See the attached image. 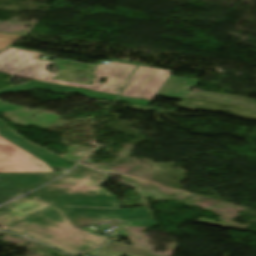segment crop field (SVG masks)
Segmentation results:
<instances>
[{"mask_svg":"<svg viewBox=\"0 0 256 256\" xmlns=\"http://www.w3.org/2000/svg\"><path fill=\"white\" fill-rule=\"evenodd\" d=\"M109 177L78 165L72 173L33 192L38 198L20 197L0 207V223L8 230L39 240L72 256L102 247L107 241L76 227L109 220L128 226H156L148 207L123 210L117 198L98 187Z\"/></svg>","mask_w":256,"mask_h":256,"instance_id":"obj_1","label":"crop field"},{"mask_svg":"<svg viewBox=\"0 0 256 256\" xmlns=\"http://www.w3.org/2000/svg\"><path fill=\"white\" fill-rule=\"evenodd\" d=\"M170 72L138 66L122 96L153 100L158 95L183 100L198 81L169 76Z\"/></svg>","mask_w":256,"mask_h":256,"instance_id":"obj_2","label":"crop field"},{"mask_svg":"<svg viewBox=\"0 0 256 256\" xmlns=\"http://www.w3.org/2000/svg\"><path fill=\"white\" fill-rule=\"evenodd\" d=\"M41 88L48 89V90L55 91V92H61V93L77 92V93L85 95L89 98H97V99H101V100H115L116 99L115 96L98 94V93H94V92H90V91H86V90L49 85V84H44V83H40V82H36V81L29 82L28 84H26L24 86L1 91L0 94L5 93V92H20V91H26V90H31V89H41ZM70 89H74L75 91H69ZM17 109H19V107H16V106H13L10 104L0 105V112H10V111H15ZM0 135L3 136L4 138L8 139L9 141L13 142L14 144L18 145L19 147L23 148L24 150L28 151L29 153L33 154L38 159H40L50 165H57V166H62L67 169H71V167L75 164L73 162L62 159V158L42 149L40 147H37V146L27 142L26 140L22 139L20 136L15 134L11 129L6 127L5 123L3 121H0Z\"/></svg>","mask_w":256,"mask_h":256,"instance_id":"obj_3","label":"crop field"},{"mask_svg":"<svg viewBox=\"0 0 256 256\" xmlns=\"http://www.w3.org/2000/svg\"><path fill=\"white\" fill-rule=\"evenodd\" d=\"M42 55L32 51L9 48L0 54V72L53 84L75 86L74 83L51 79L56 75L48 73L46 68L54 62L37 59Z\"/></svg>","mask_w":256,"mask_h":256,"instance_id":"obj_4","label":"crop field"},{"mask_svg":"<svg viewBox=\"0 0 256 256\" xmlns=\"http://www.w3.org/2000/svg\"><path fill=\"white\" fill-rule=\"evenodd\" d=\"M52 172L48 165L0 136V173Z\"/></svg>","mask_w":256,"mask_h":256,"instance_id":"obj_5","label":"crop field"},{"mask_svg":"<svg viewBox=\"0 0 256 256\" xmlns=\"http://www.w3.org/2000/svg\"><path fill=\"white\" fill-rule=\"evenodd\" d=\"M60 175L55 173L0 174V204Z\"/></svg>","mask_w":256,"mask_h":256,"instance_id":"obj_6","label":"crop field"},{"mask_svg":"<svg viewBox=\"0 0 256 256\" xmlns=\"http://www.w3.org/2000/svg\"><path fill=\"white\" fill-rule=\"evenodd\" d=\"M135 67L136 66L134 65L116 62H112L109 65L99 64L94 69L96 78L89 89L98 92L119 95L121 91L118 89L124 87ZM100 70H102V72H100ZM100 77H109V79L106 84H100L98 83ZM106 88L109 90H105ZM114 90H118L119 92H114Z\"/></svg>","mask_w":256,"mask_h":256,"instance_id":"obj_7","label":"crop field"},{"mask_svg":"<svg viewBox=\"0 0 256 256\" xmlns=\"http://www.w3.org/2000/svg\"><path fill=\"white\" fill-rule=\"evenodd\" d=\"M103 248L121 252V253L130 254V255H136V256H155V255L149 254V252H150L149 250L136 248V247H132V246H127V245L119 244V243L112 242V241H110Z\"/></svg>","mask_w":256,"mask_h":256,"instance_id":"obj_8","label":"crop field"},{"mask_svg":"<svg viewBox=\"0 0 256 256\" xmlns=\"http://www.w3.org/2000/svg\"><path fill=\"white\" fill-rule=\"evenodd\" d=\"M21 37L22 35L0 34V51L12 45Z\"/></svg>","mask_w":256,"mask_h":256,"instance_id":"obj_9","label":"crop field"},{"mask_svg":"<svg viewBox=\"0 0 256 256\" xmlns=\"http://www.w3.org/2000/svg\"><path fill=\"white\" fill-rule=\"evenodd\" d=\"M118 101L120 102H128V103H135L140 105H146L149 106L150 102L145 100H138V99H130V98H123L119 97Z\"/></svg>","mask_w":256,"mask_h":256,"instance_id":"obj_10","label":"crop field"},{"mask_svg":"<svg viewBox=\"0 0 256 256\" xmlns=\"http://www.w3.org/2000/svg\"><path fill=\"white\" fill-rule=\"evenodd\" d=\"M96 255L97 256H130V255L121 254V253L108 251V250H104V249H101Z\"/></svg>","mask_w":256,"mask_h":256,"instance_id":"obj_11","label":"crop field"},{"mask_svg":"<svg viewBox=\"0 0 256 256\" xmlns=\"http://www.w3.org/2000/svg\"><path fill=\"white\" fill-rule=\"evenodd\" d=\"M90 85H80V84H76V87H81V88H86L88 89Z\"/></svg>","mask_w":256,"mask_h":256,"instance_id":"obj_12","label":"crop field"},{"mask_svg":"<svg viewBox=\"0 0 256 256\" xmlns=\"http://www.w3.org/2000/svg\"><path fill=\"white\" fill-rule=\"evenodd\" d=\"M55 207V206H54ZM56 208V207H55ZM57 209V208H56ZM58 210V209H57ZM59 211V210H58ZM60 212V211H59ZM61 213V212H60ZM62 214V213H61ZM63 215V214H62ZM64 216V215H63ZM65 217V216H64ZM66 218V217H65ZM67 219V218H66ZM68 220V219H67ZM69 221V220H68ZM70 222V221H69ZM71 223V222H70ZM72 224V223H71ZM73 225V224H72ZM74 226V225H73ZM75 227V226H74ZM76 228V227H75ZM76 229H78V228H76ZM80 230V229H79ZM90 234V233H89ZM91 235H93V234H91ZM95 236V235H94ZM98 237V236H97ZM99 238H101V237H99ZM103 239V238H102ZM106 240V239H105Z\"/></svg>","mask_w":256,"mask_h":256,"instance_id":"obj_13","label":"crop field"},{"mask_svg":"<svg viewBox=\"0 0 256 256\" xmlns=\"http://www.w3.org/2000/svg\"><path fill=\"white\" fill-rule=\"evenodd\" d=\"M0 226L5 228V229L7 228V225L0 224Z\"/></svg>","mask_w":256,"mask_h":256,"instance_id":"obj_14","label":"crop field"}]
</instances>
